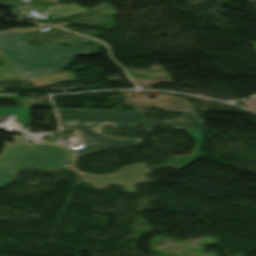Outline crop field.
I'll list each match as a JSON object with an SVG mask.
<instances>
[{
	"label": "crop field",
	"mask_w": 256,
	"mask_h": 256,
	"mask_svg": "<svg viewBox=\"0 0 256 256\" xmlns=\"http://www.w3.org/2000/svg\"><path fill=\"white\" fill-rule=\"evenodd\" d=\"M0 157V186L6 185L18 170L38 167L61 168L71 158L68 148L48 144L31 145L22 138L15 145L4 144Z\"/></svg>",
	"instance_id": "34b2d1b8"
},
{
	"label": "crop field",
	"mask_w": 256,
	"mask_h": 256,
	"mask_svg": "<svg viewBox=\"0 0 256 256\" xmlns=\"http://www.w3.org/2000/svg\"><path fill=\"white\" fill-rule=\"evenodd\" d=\"M20 5H23V3H21V2H15V3L13 4V3H8V2H2V1H0V6H2V7L11 8V7H13V6H20Z\"/></svg>",
	"instance_id": "d8731c3e"
},
{
	"label": "crop field",
	"mask_w": 256,
	"mask_h": 256,
	"mask_svg": "<svg viewBox=\"0 0 256 256\" xmlns=\"http://www.w3.org/2000/svg\"><path fill=\"white\" fill-rule=\"evenodd\" d=\"M155 99H149L154 97ZM125 104L131 106L136 105L137 110H146L150 107H156L159 110L165 111H194L187 100L175 98L173 96L151 95V96H137L133 99H124Z\"/></svg>",
	"instance_id": "412701ff"
},
{
	"label": "crop field",
	"mask_w": 256,
	"mask_h": 256,
	"mask_svg": "<svg viewBox=\"0 0 256 256\" xmlns=\"http://www.w3.org/2000/svg\"><path fill=\"white\" fill-rule=\"evenodd\" d=\"M75 4V3H74ZM74 4H71V5H64V4H59V5H56V6H52V7H48V8H41L39 6H36V7H33L34 9L38 8L42 11H49L50 12V15L56 13L57 15L52 17V18H49V19H53V18H58V17H68V16H71V15H74V14H77V13H80V12H83V11H86L87 9H84V8H80ZM47 19V20H49Z\"/></svg>",
	"instance_id": "f4fd0767"
},
{
	"label": "crop field",
	"mask_w": 256,
	"mask_h": 256,
	"mask_svg": "<svg viewBox=\"0 0 256 256\" xmlns=\"http://www.w3.org/2000/svg\"><path fill=\"white\" fill-rule=\"evenodd\" d=\"M30 109L31 108H2V107H0V117L3 114H14L17 116L16 119H18L22 122L30 121V118H29Z\"/></svg>",
	"instance_id": "e52e79f7"
},
{
	"label": "crop field",
	"mask_w": 256,
	"mask_h": 256,
	"mask_svg": "<svg viewBox=\"0 0 256 256\" xmlns=\"http://www.w3.org/2000/svg\"><path fill=\"white\" fill-rule=\"evenodd\" d=\"M96 49V46H28L21 43L14 30L0 33V59L4 63L0 66V81L39 78L42 74L64 68L77 56L95 54Z\"/></svg>",
	"instance_id": "ac0d7876"
},
{
	"label": "crop field",
	"mask_w": 256,
	"mask_h": 256,
	"mask_svg": "<svg viewBox=\"0 0 256 256\" xmlns=\"http://www.w3.org/2000/svg\"><path fill=\"white\" fill-rule=\"evenodd\" d=\"M61 123L81 135L79 143L83 146L78 150H72L73 155H82L92 151L118 145L139 143L140 139L117 138L103 135L100 130L105 125L113 127H133L144 125L147 131L153 126L171 125L174 128L182 129L195 138L196 147L191 155L178 156L168 160L167 164L161 167H173L180 170L198 159V153L202 140V122L196 113L182 112L181 117L172 121H150L144 119V111H118V110H78V109H56ZM91 122V124H85ZM93 127H97L93 130ZM146 169L144 162H139L124 167L123 169L105 175H95L78 172L84 183H89L97 189H104L107 185L116 184L127 190L136 192L134 185L139 182H147L144 175L151 173Z\"/></svg>",
	"instance_id": "8a807250"
},
{
	"label": "crop field",
	"mask_w": 256,
	"mask_h": 256,
	"mask_svg": "<svg viewBox=\"0 0 256 256\" xmlns=\"http://www.w3.org/2000/svg\"><path fill=\"white\" fill-rule=\"evenodd\" d=\"M14 120H15V122L22 123V122H20V121H18L16 119H14ZM25 123L29 124L30 122H25Z\"/></svg>",
	"instance_id": "5a996713"
},
{
	"label": "crop field",
	"mask_w": 256,
	"mask_h": 256,
	"mask_svg": "<svg viewBox=\"0 0 256 256\" xmlns=\"http://www.w3.org/2000/svg\"><path fill=\"white\" fill-rule=\"evenodd\" d=\"M75 79L72 72H59L51 75H46L39 79L31 80L35 86L51 84L58 81L72 80Z\"/></svg>",
	"instance_id": "dd49c442"
}]
</instances>
